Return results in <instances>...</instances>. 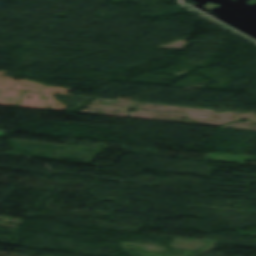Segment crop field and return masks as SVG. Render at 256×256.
Masks as SVG:
<instances>
[{
	"label": "crop field",
	"instance_id": "crop-field-1",
	"mask_svg": "<svg viewBox=\"0 0 256 256\" xmlns=\"http://www.w3.org/2000/svg\"><path fill=\"white\" fill-rule=\"evenodd\" d=\"M6 131L0 130V137H3Z\"/></svg>",
	"mask_w": 256,
	"mask_h": 256
}]
</instances>
